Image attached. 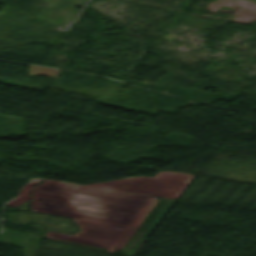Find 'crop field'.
Masks as SVG:
<instances>
[{
  "mask_svg": "<svg viewBox=\"0 0 256 256\" xmlns=\"http://www.w3.org/2000/svg\"><path fill=\"white\" fill-rule=\"evenodd\" d=\"M40 74L46 75L51 78H57L58 70L30 66L28 74L30 77L38 76Z\"/></svg>",
  "mask_w": 256,
  "mask_h": 256,
  "instance_id": "crop-field-1",
  "label": "crop field"
}]
</instances>
